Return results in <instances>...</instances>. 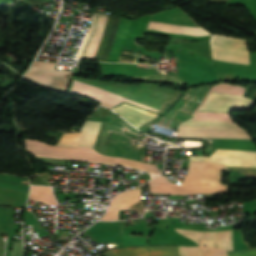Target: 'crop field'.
<instances>
[{"label": "crop field", "mask_w": 256, "mask_h": 256, "mask_svg": "<svg viewBox=\"0 0 256 256\" xmlns=\"http://www.w3.org/2000/svg\"><path fill=\"white\" fill-rule=\"evenodd\" d=\"M69 92L110 109L126 102L162 114L182 91L152 84L128 85L72 78Z\"/></svg>", "instance_id": "obj_1"}, {"label": "crop field", "mask_w": 256, "mask_h": 256, "mask_svg": "<svg viewBox=\"0 0 256 256\" xmlns=\"http://www.w3.org/2000/svg\"><path fill=\"white\" fill-rule=\"evenodd\" d=\"M97 16H98V14H93L91 26H90V29L88 32V36H87V38L77 56L79 58L83 57V55L86 51V48L91 40V37L95 31ZM107 16L108 15L99 14L96 31L92 37V40H91L83 58H88V59L93 58L94 53L99 44V41L104 32ZM120 18L121 17L109 15L105 32L103 34V37L100 41V44L98 46V49H97L93 59L101 60V61L106 60L107 55L112 46V43L117 34ZM149 29H157V30H162L164 32L177 33V34H189V35H193V36H202V35L209 34L207 31H205L204 29H202L199 26L150 25Z\"/></svg>", "instance_id": "obj_2"}, {"label": "crop field", "mask_w": 256, "mask_h": 256, "mask_svg": "<svg viewBox=\"0 0 256 256\" xmlns=\"http://www.w3.org/2000/svg\"><path fill=\"white\" fill-rule=\"evenodd\" d=\"M25 142V150L33 156L102 162L134 167L155 173L161 172L155 165L119 157L104 156L97 153L94 149L81 147H57L28 139H25Z\"/></svg>", "instance_id": "obj_3"}, {"label": "crop field", "mask_w": 256, "mask_h": 256, "mask_svg": "<svg viewBox=\"0 0 256 256\" xmlns=\"http://www.w3.org/2000/svg\"><path fill=\"white\" fill-rule=\"evenodd\" d=\"M56 66V63L35 61L24 79L66 93L71 71L56 69Z\"/></svg>", "instance_id": "obj_4"}, {"label": "crop field", "mask_w": 256, "mask_h": 256, "mask_svg": "<svg viewBox=\"0 0 256 256\" xmlns=\"http://www.w3.org/2000/svg\"><path fill=\"white\" fill-rule=\"evenodd\" d=\"M210 48H211V52H214V53L249 57L246 40L212 35V38L210 40ZM214 53H211L212 58L216 60H224V61L249 64V58H246V57H238V56H230V55H222V54H214Z\"/></svg>", "instance_id": "obj_5"}, {"label": "crop field", "mask_w": 256, "mask_h": 256, "mask_svg": "<svg viewBox=\"0 0 256 256\" xmlns=\"http://www.w3.org/2000/svg\"><path fill=\"white\" fill-rule=\"evenodd\" d=\"M223 170L229 169L217 163L189 161L187 174L181 184H221Z\"/></svg>", "instance_id": "obj_6"}, {"label": "crop field", "mask_w": 256, "mask_h": 256, "mask_svg": "<svg viewBox=\"0 0 256 256\" xmlns=\"http://www.w3.org/2000/svg\"><path fill=\"white\" fill-rule=\"evenodd\" d=\"M151 193L168 194H217L226 192L227 185H178L169 182L166 178L159 176L149 181Z\"/></svg>", "instance_id": "obj_7"}, {"label": "crop field", "mask_w": 256, "mask_h": 256, "mask_svg": "<svg viewBox=\"0 0 256 256\" xmlns=\"http://www.w3.org/2000/svg\"><path fill=\"white\" fill-rule=\"evenodd\" d=\"M255 104V101L247 97H239L211 92V94L209 95V97L207 98L205 103L200 107L199 110L249 112Z\"/></svg>", "instance_id": "obj_8"}, {"label": "crop field", "mask_w": 256, "mask_h": 256, "mask_svg": "<svg viewBox=\"0 0 256 256\" xmlns=\"http://www.w3.org/2000/svg\"><path fill=\"white\" fill-rule=\"evenodd\" d=\"M191 160L214 161L227 166L256 168V152L216 149L210 157L190 155Z\"/></svg>", "instance_id": "obj_9"}, {"label": "crop field", "mask_w": 256, "mask_h": 256, "mask_svg": "<svg viewBox=\"0 0 256 256\" xmlns=\"http://www.w3.org/2000/svg\"><path fill=\"white\" fill-rule=\"evenodd\" d=\"M178 231L198 245H209L224 251L233 250L231 230L194 231L178 229Z\"/></svg>", "instance_id": "obj_10"}, {"label": "crop field", "mask_w": 256, "mask_h": 256, "mask_svg": "<svg viewBox=\"0 0 256 256\" xmlns=\"http://www.w3.org/2000/svg\"><path fill=\"white\" fill-rule=\"evenodd\" d=\"M178 137L251 139L243 128L180 127Z\"/></svg>", "instance_id": "obj_11"}, {"label": "crop field", "mask_w": 256, "mask_h": 256, "mask_svg": "<svg viewBox=\"0 0 256 256\" xmlns=\"http://www.w3.org/2000/svg\"><path fill=\"white\" fill-rule=\"evenodd\" d=\"M101 123L86 121L81 133L63 134L58 146H82L93 148Z\"/></svg>", "instance_id": "obj_12"}, {"label": "crop field", "mask_w": 256, "mask_h": 256, "mask_svg": "<svg viewBox=\"0 0 256 256\" xmlns=\"http://www.w3.org/2000/svg\"><path fill=\"white\" fill-rule=\"evenodd\" d=\"M112 251L116 256H180L178 246H137Z\"/></svg>", "instance_id": "obj_13"}, {"label": "crop field", "mask_w": 256, "mask_h": 256, "mask_svg": "<svg viewBox=\"0 0 256 256\" xmlns=\"http://www.w3.org/2000/svg\"><path fill=\"white\" fill-rule=\"evenodd\" d=\"M181 126L240 127L228 113L198 112L196 117Z\"/></svg>", "instance_id": "obj_14"}, {"label": "crop field", "mask_w": 256, "mask_h": 256, "mask_svg": "<svg viewBox=\"0 0 256 256\" xmlns=\"http://www.w3.org/2000/svg\"><path fill=\"white\" fill-rule=\"evenodd\" d=\"M113 111L123 116L136 128L140 127L141 125L145 124L146 122L158 116V114L144 111L142 109L136 108L126 103L113 109Z\"/></svg>", "instance_id": "obj_15"}, {"label": "crop field", "mask_w": 256, "mask_h": 256, "mask_svg": "<svg viewBox=\"0 0 256 256\" xmlns=\"http://www.w3.org/2000/svg\"><path fill=\"white\" fill-rule=\"evenodd\" d=\"M211 148H221V139H211ZM222 148L256 150L253 140H228L222 139Z\"/></svg>", "instance_id": "obj_16"}, {"label": "crop field", "mask_w": 256, "mask_h": 256, "mask_svg": "<svg viewBox=\"0 0 256 256\" xmlns=\"http://www.w3.org/2000/svg\"><path fill=\"white\" fill-rule=\"evenodd\" d=\"M180 253L181 256H226L224 251L211 248L208 246L202 247H181Z\"/></svg>", "instance_id": "obj_17"}, {"label": "crop field", "mask_w": 256, "mask_h": 256, "mask_svg": "<svg viewBox=\"0 0 256 256\" xmlns=\"http://www.w3.org/2000/svg\"><path fill=\"white\" fill-rule=\"evenodd\" d=\"M29 198L45 202L47 204L56 205V201L53 197L50 187L45 186H32Z\"/></svg>", "instance_id": "obj_18"}, {"label": "crop field", "mask_w": 256, "mask_h": 256, "mask_svg": "<svg viewBox=\"0 0 256 256\" xmlns=\"http://www.w3.org/2000/svg\"><path fill=\"white\" fill-rule=\"evenodd\" d=\"M245 89L246 88H244V87H240V86H236V85H232V84L219 83L212 91L242 96L244 91H245ZM210 92H209V94H210Z\"/></svg>", "instance_id": "obj_19"}, {"label": "crop field", "mask_w": 256, "mask_h": 256, "mask_svg": "<svg viewBox=\"0 0 256 256\" xmlns=\"http://www.w3.org/2000/svg\"><path fill=\"white\" fill-rule=\"evenodd\" d=\"M227 256H256V249L226 252Z\"/></svg>", "instance_id": "obj_20"}, {"label": "crop field", "mask_w": 256, "mask_h": 256, "mask_svg": "<svg viewBox=\"0 0 256 256\" xmlns=\"http://www.w3.org/2000/svg\"><path fill=\"white\" fill-rule=\"evenodd\" d=\"M4 248H5V241H2L0 239V256H3L4 254Z\"/></svg>", "instance_id": "obj_21"}]
</instances>
